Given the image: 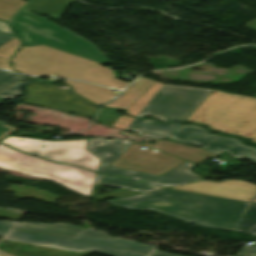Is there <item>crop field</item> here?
Wrapping results in <instances>:
<instances>
[{
  "label": "crop field",
  "instance_id": "obj_1",
  "mask_svg": "<svg viewBox=\"0 0 256 256\" xmlns=\"http://www.w3.org/2000/svg\"><path fill=\"white\" fill-rule=\"evenodd\" d=\"M135 210L155 209L193 224L237 230L250 203L170 189L108 201Z\"/></svg>",
  "mask_w": 256,
  "mask_h": 256
},
{
  "label": "crop field",
  "instance_id": "obj_2",
  "mask_svg": "<svg viewBox=\"0 0 256 256\" xmlns=\"http://www.w3.org/2000/svg\"><path fill=\"white\" fill-rule=\"evenodd\" d=\"M11 61L14 69L22 74L66 77L116 89L129 83L116 79L110 68L44 45L23 47Z\"/></svg>",
  "mask_w": 256,
  "mask_h": 256
},
{
  "label": "crop field",
  "instance_id": "obj_3",
  "mask_svg": "<svg viewBox=\"0 0 256 256\" xmlns=\"http://www.w3.org/2000/svg\"><path fill=\"white\" fill-rule=\"evenodd\" d=\"M186 121L256 142V99L213 90Z\"/></svg>",
  "mask_w": 256,
  "mask_h": 256
},
{
  "label": "crop field",
  "instance_id": "obj_4",
  "mask_svg": "<svg viewBox=\"0 0 256 256\" xmlns=\"http://www.w3.org/2000/svg\"><path fill=\"white\" fill-rule=\"evenodd\" d=\"M9 23L27 46L44 44L102 64L109 61L88 40L31 12L21 9Z\"/></svg>",
  "mask_w": 256,
  "mask_h": 256
},
{
  "label": "crop field",
  "instance_id": "obj_5",
  "mask_svg": "<svg viewBox=\"0 0 256 256\" xmlns=\"http://www.w3.org/2000/svg\"><path fill=\"white\" fill-rule=\"evenodd\" d=\"M0 168L51 180L86 197L90 196L96 172L44 161L17 152L0 143Z\"/></svg>",
  "mask_w": 256,
  "mask_h": 256
},
{
  "label": "crop field",
  "instance_id": "obj_6",
  "mask_svg": "<svg viewBox=\"0 0 256 256\" xmlns=\"http://www.w3.org/2000/svg\"><path fill=\"white\" fill-rule=\"evenodd\" d=\"M94 141H98L100 143L94 144ZM131 144L132 142L124 139L108 140L102 137H94L88 139L86 148L101 159L98 172L102 174L161 185L165 187L195 182L202 179V177L196 176L188 171L189 167L193 165L192 163L188 162H185L171 169L161 177L109 166Z\"/></svg>",
  "mask_w": 256,
  "mask_h": 256
},
{
  "label": "crop field",
  "instance_id": "obj_7",
  "mask_svg": "<svg viewBox=\"0 0 256 256\" xmlns=\"http://www.w3.org/2000/svg\"><path fill=\"white\" fill-rule=\"evenodd\" d=\"M20 139H23L21 141ZM87 139L48 142L10 136L1 142L20 151L56 162L74 164L92 171L98 170L100 159L85 148ZM45 144V147L41 146Z\"/></svg>",
  "mask_w": 256,
  "mask_h": 256
},
{
  "label": "crop field",
  "instance_id": "obj_8",
  "mask_svg": "<svg viewBox=\"0 0 256 256\" xmlns=\"http://www.w3.org/2000/svg\"><path fill=\"white\" fill-rule=\"evenodd\" d=\"M212 90L164 85L137 116L165 122L185 121Z\"/></svg>",
  "mask_w": 256,
  "mask_h": 256
},
{
  "label": "crop field",
  "instance_id": "obj_9",
  "mask_svg": "<svg viewBox=\"0 0 256 256\" xmlns=\"http://www.w3.org/2000/svg\"><path fill=\"white\" fill-rule=\"evenodd\" d=\"M24 91L22 102L53 107L63 112L94 118L100 108L89 102L85 103V100L75 95L69 87H57L35 81Z\"/></svg>",
  "mask_w": 256,
  "mask_h": 256
},
{
  "label": "crop field",
  "instance_id": "obj_10",
  "mask_svg": "<svg viewBox=\"0 0 256 256\" xmlns=\"http://www.w3.org/2000/svg\"><path fill=\"white\" fill-rule=\"evenodd\" d=\"M170 138L201 145L203 149L216 154H220L224 150L229 151L232 156L240 159L256 149V147L243 144L239 139L212 135L205 128L195 125H180Z\"/></svg>",
  "mask_w": 256,
  "mask_h": 256
},
{
  "label": "crop field",
  "instance_id": "obj_11",
  "mask_svg": "<svg viewBox=\"0 0 256 256\" xmlns=\"http://www.w3.org/2000/svg\"><path fill=\"white\" fill-rule=\"evenodd\" d=\"M140 147L141 145L133 143L111 165L161 176L171 168L184 162L153 149L143 150L139 149Z\"/></svg>",
  "mask_w": 256,
  "mask_h": 256
},
{
  "label": "crop field",
  "instance_id": "obj_12",
  "mask_svg": "<svg viewBox=\"0 0 256 256\" xmlns=\"http://www.w3.org/2000/svg\"><path fill=\"white\" fill-rule=\"evenodd\" d=\"M7 239L19 240L24 242H30L35 244L47 245L52 247H58L63 249L75 250V251H90L101 253L110 256H120L125 250L124 248L106 246L101 244L89 243L84 241L52 237L16 230H10L5 237Z\"/></svg>",
  "mask_w": 256,
  "mask_h": 256
},
{
  "label": "crop field",
  "instance_id": "obj_13",
  "mask_svg": "<svg viewBox=\"0 0 256 256\" xmlns=\"http://www.w3.org/2000/svg\"><path fill=\"white\" fill-rule=\"evenodd\" d=\"M204 194L216 195L232 199L252 202L256 195V185L242 180L224 182L199 181L181 186L171 187Z\"/></svg>",
  "mask_w": 256,
  "mask_h": 256
},
{
  "label": "crop field",
  "instance_id": "obj_14",
  "mask_svg": "<svg viewBox=\"0 0 256 256\" xmlns=\"http://www.w3.org/2000/svg\"><path fill=\"white\" fill-rule=\"evenodd\" d=\"M100 184L119 187V188H122L123 190L113 191L106 195L97 196V191L99 189ZM159 189H164V188L145 184V183L106 176L98 173L96 176L95 184L90 197L98 200L109 198V197L122 198V197L130 196V195H134L142 192H148V191L159 190Z\"/></svg>",
  "mask_w": 256,
  "mask_h": 256
},
{
  "label": "crop field",
  "instance_id": "obj_15",
  "mask_svg": "<svg viewBox=\"0 0 256 256\" xmlns=\"http://www.w3.org/2000/svg\"><path fill=\"white\" fill-rule=\"evenodd\" d=\"M15 228L34 231V232H40L45 234L69 237V238H73L79 234L98 236V237H103L108 239L114 238V237H110L106 232L102 230H99V231L85 230L73 225H66L64 223L38 224V223L21 222V223H18Z\"/></svg>",
  "mask_w": 256,
  "mask_h": 256
},
{
  "label": "crop field",
  "instance_id": "obj_16",
  "mask_svg": "<svg viewBox=\"0 0 256 256\" xmlns=\"http://www.w3.org/2000/svg\"><path fill=\"white\" fill-rule=\"evenodd\" d=\"M151 140L156 142L154 146L147 144L148 141L145 142L143 145L167 152L169 154L175 155L191 162H200L209 157H217V155L211 154L200 148L180 145L171 141H161L155 139Z\"/></svg>",
  "mask_w": 256,
  "mask_h": 256
},
{
  "label": "crop field",
  "instance_id": "obj_17",
  "mask_svg": "<svg viewBox=\"0 0 256 256\" xmlns=\"http://www.w3.org/2000/svg\"><path fill=\"white\" fill-rule=\"evenodd\" d=\"M180 124H161L155 120L134 119L127 129L149 138L167 139Z\"/></svg>",
  "mask_w": 256,
  "mask_h": 256
},
{
  "label": "crop field",
  "instance_id": "obj_18",
  "mask_svg": "<svg viewBox=\"0 0 256 256\" xmlns=\"http://www.w3.org/2000/svg\"><path fill=\"white\" fill-rule=\"evenodd\" d=\"M63 83L72 86L73 90L80 96L99 105H103L109 100L118 96V94L112 92L113 90H109L95 85L70 80H66Z\"/></svg>",
  "mask_w": 256,
  "mask_h": 256
},
{
  "label": "crop field",
  "instance_id": "obj_19",
  "mask_svg": "<svg viewBox=\"0 0 256 256\" xmlns=\"http://www.w3.org/2000/svg\"><path fill=\"white\" fill-rule=\"evenodd\" d=\"M155 82L138 79L131 86H129L123 95L113 100L107 107L119 108L127 110L140 96H142Z\"/></svg>",
  "mask_w": 256,
  "mask_h": 256
},
{
  "label": "crop field",
  "instance_id": "obj_20",
  "mask_svg": "<svg viewBox=\"0 0 256 256\" xmlns=\"http://www.w3.org/2000/svg\"><path fill=\"white\" fill-rule=\"evenodd\" d=\"M162 84L155 83L142 97H140L127 111L129 116H137L153 96L160 90Z\"/></svg>",
  "mask_w": 256,
  "mask_h": 256
},
{
  "label": "crop field",
  "instance_id": "obj_21",
  "mask_svg": "<svg viewBox=\"0 0 256 256\" xmlns=\"http://www.w3.org/2000/svg\"><path fill=\"white\" fill-rule=\"evenodd\" d=\"M238 231L256 236V204L251 203Z\"/></svg>",
  "mask_w": 256,
  "mask_h": 256
},
{
  "label": "crop field",
  "instance_id": "obj_22",
  "mask_svg": "<svg viewBox=\"0 0 256 256\" xmlns=\"http://www.w3.org/2000/svg\"><path fill=\"white\" fill-rule=\"evenodd\" d=\"M74 239L102 243V244L113 245V246L124 247V248H127L133 242L132 240L123 239V238H116L113 240H108V239L91 237V236H83V235H79V236L75 237Z\"/></svg>",
  "mask_w": 256,
  "mask_h": 256
},
{
  "label": "crop field",
  "instance_id": "obj_23",
  "mask_svg": "<svg viewBox=\"0 0 256 256\" xmlns=\"http://www.w3.org/2000/svg\"><path fill=\"white\" fill-rule=\"evenodd\" d=\"M128 248L146 252L149 253V255L126 249L121 256H150L156 251V247L144 245L135 241Z\"/></svg>",
  "mask_w": 256,
  "mask_h": 256
},
{
  "label": "crop field",
  "instance_id": "obj_24",
  "mask_svg": "<svg viewBox=\"0 0 256 256\" xmlns=\"http://www.w3.org/2000/svg\"><path fill=\"white\" fill-rule=\"evenodd\" d=\"M21 79H26V77H22V76L10 74V73L4 72V71H0V91L5 89L10 84H12L18 80H21Z\"/></svg>",
  "mask_w": 256,
  "mask_h": 256
},
{
  "label": "crop field",
  "instance_id": "obj_25",
  "mask_svg": "<svg viewBox=\"0 0 256 256\" xmlns=\"http://www.w3.org/2000/svg\"><path fill=\"white\" fill-rule=\"evenodd\" d=\"M31 81H32V80L20 82V83L14 85V86L8 88L7 90L1 92V93H0V96H1V97H5V98H9V99H13V98H15V97L21 95V92H20L21 88H22L25 84H27V83H29V82H31Z\"/></svg>",
  "mask_w": 256,
  "mask_h": 256
},
{
  "label": "crop field",
  "instance_id": "obj_26",
  "mask_svg": "<svg viewBox=\"0 0 256 256\" xmlns=\"http://www.w3.org/2000/svg\"><path fill=\"white\" fill-rule=\"evenodd\" d=\"M133 119L134 118H131L125 115H123L122 117L120 116L118 120L114 123L113 127L125 130L127 126L132 122Z\"/></svg>",
  "mask_w": 256,
  "mask_h": 256
},
{
  "label": "crop field",
  "instance_id": "obj_27",
  "mask_svg": "<svg viewBox=\"0 0 256 256\" xmlns=\"http://www.w3.org/2000/svg\"><path fill=\"white\" fill-rule=\"evenodd\" d=\"M14 222L2 221L0 222V235L5 236L8 230L14 225Z\"/></svg>",
  "mask_w": 256,
  "mask_h": 256
},
{
  "label": "crop field",
  "instance_id": "obj_28",
  "mask_svg": "<svg viewBox=\"0 0 256 256\" xmlns=\"http://www.w3.org/2000/svg\"><path fill=\"white\" fill-rule=\"evenodd\" d=\"M13 130H15V128L8 127V126L0 123V138L6 136L7 134H9L8 133L9 131H13ZM2 131H4V132L2 133Z\"/></svg>",
  "mask_w": 256,
  "mask_h": 256
},
{
  "label": "crop field",
  "instance_id": "obj_29",
  "mask_svg": "<svg viewBox=\"0 0 256 256\" xmlns=\"http://www.w3.org/2000/svg\"><path fill=\"white\" fill-rule=\"evenodd\" d=\"M11 38H13L11 35L0 32V46Z\"/></svg>",
  "mask_w": 256,
  "mask_h": 256
},
{
  "label": "crop field",
  "instance_id": "obj_30",
  "mask_svg": "<svg viewBox=\"0 0 256 256\" xmlns=\"http://www.w3.org/2000/svg\"><path fill=\"white\" fill-rule=\"evenodd\" d=\"M0 31L13 34L12 30L8 27V25L2 21H0Z\"/></svg>",
  "mask_w": 256,
  "mask_h": 256
},
{
  "label": "crop field",
  "instance_id": "obj_31",
  "mask_svg": "<svg viewBox=\"0 0 256 256\" xmlns=\"http://www.w3.org/2000/svg\"><path fill=\"white\" fill-rule=\"evenodd\" d=\"M246 256H256V241L255 244L249 248L248 252L246 253Z\"/></svg>",
  "mask_w": 256,
  "mask_h": 256
},
{
  "label": "crop field",
  "instance_id": "obj_32",
  "mask_svg": "<svg viewBox=\"0 0 256 256\" xmlns=\"http://www.w3.org/2000/svg\"><path fill=\"white\" fill-rule=\"evenodd\" d=\"M244 159H247V160H249V161H251V162L256 163V150H255L253 153L249 154V155H248L247 157H245Z\"/></svg>",
  "mask_w": 256,
  "mask_h": 256
},
{
  "label": "crop field",
  "instance_id": "obj_33",
  "mask_svg": "<svg viewBox=\"0 0 256 256\" xmlns=\"http://www.w3.org/2000/svg\"><path fill=\"white\" fill-rule=\"evenodd\" d=\"M152 256H176L165 252L156 251Z\"/></svg>",
  "mask_w": 256,
  "mask_h": 256
},
{
  "label": "crop field",
  "instance_id": "obj_34",
  "mask_svg": "<svg viewBox=\"0 0 256 256\" xmlns=\"http://www.w3.org/2000/svg\"><path fill=\"white\" fill-rule=\"evenodd\" d=\"M247 249L246 246H243V248L240 250V252L238 253V256H240L242 253H244V251Z\"/></svg>",
  "mask_w": 256,
  "mask_h": 256
},
{
  "label": "crop field",
  "instance_id": "obj_35",
  "mask_svg": "<svg viewBox=\"0 0 256 256\" xmlns=\"http://www.w3.org/2000/svg\"><path fill=\"white\" fill-rule=\"evenodd\" d=\"M0 256H8V255H6V254H3V253H1V252H0Z\"/></svg>",
  "mask_w": 256,
  "mask_h": 256
},
{
  "label": "crop field",
  "instance_id": "obj_36",
  "mask_svg": "<svg viewBox=\"0 0 256 256\" xmlns=\"http://www.w3.org/2000/svg\"><path fill=\"white\" fill-rule=\"evenodd\" d=\"M1 101H5V100H8V99H5V98H0Z\"/></svg>",
  "mask_w": 256,
  "mask_h": 256
},
{
  "label": "crop field",
  "instance_id": "obj_37",
  "mask_svg": "<svg viewBox=\"0 0 256 256\" xmlns=\"http://www.w3.org/2000/svg\"><path fill=\"white\" fill-rule=\"evenodd\" d=\"M253 202H256V197H255V199L253 200Z\"/></svg>",
  "mask_w": 256,
  "mask_h": 256
},
{
  "label": "crop field",
  "instance_id": "obj_38",
  "mask_svg": "<svg viewBox=\"0 0 256 256\" xmlns=\"http://www.w3.org/2000/svg\"><path fill=\"white\" fill-rule=\"evenodd\" d=\"M0 103H3V102L0 101ZM0 105H1V104H0Z\"/></svg>",
  "mask_w": 256,
  "mask_h": 256
}]
</instances>
